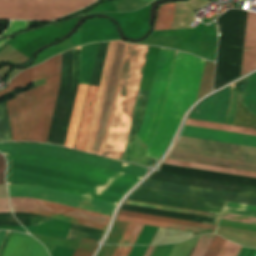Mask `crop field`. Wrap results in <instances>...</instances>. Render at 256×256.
Listing matches in <instances>:
<instances>
[{
  "label": "crop field",
  "instance_id": "22f410ed",
  "mask_svg": "<svg viewBox=\"0 0 256 256\" xmlns=\"http://www.w3.org/2000/svg\"><path fill=\"white\" fill-rule=\"evenodd\" d=\"M128 199L220 214L226 201L139 188Z\"/></svg>",
  "mask_w": 256,
  "mask_h": 256
},
{
  "label": "crop field",
  "instance_id": "d3111659",
  "mask_svg": "<svg viewBox=\"0 0 256 256\" xmlns=\"http://www.w3.org/2000/svg\"><path fill=\"white\" fill-rule=\"evenodd\" d=\"M223 212L256 217V207L230 202L226 203Z\"/></svg>",
  "mask_w": 256,
  "mask_h": 256
},
{
  "label": "crop field",
  "instance_id": "e1f06a70",
  "mask_svg": "<svg viewBox=\"0 0 256 256\" xmlns=\"http://www.w3.org/2000/svg\"><path fill=\"white\" fill-rule=\"evenodd\" d=\"M132 246H117L112 256H128Z\"/></svg>",
  "mask_w": 256,
  "mask_h": 256
},
{
  "label": "crop field",
  "instance_id": "b54c1fbb",
  "mask_svg": "<svg viewBox=\"0 0 256 256\" xmlns=\"http://www.w3.org/2000/svg\"><path fill=\"white\" fill-rule=\"evenodd\" d=\"M154 246H149L145 256H149V254L151 253L152 249H153Z\"/></svg>",
  "mask_w": 256,
  "mask_h": 256
},
{
  "label": "crop field",
  "instance_id": "f4fd0767",
  "mask_svg": "<svg viewBox=\"0 0 256 256\" xmlns=\"http://www.w3.org/2000/svg\"><path fill=\"white\" fill-rule=\"evenodd\" d=\"M127 43L110 42L84 151L102 155Z\"/></svg>",
  "mask_w": 256,
  "mask_h": 256
},
{
  "label": "crop field",
  "instance_id": "c21b1889",
  "mask_svg": "<svg viewBox=\"0 0 256 256\" xmlns=\"http://www.w3.org/2000/svg\"><path fill=\"white\" fill-rule=\"evenodd\" d=\"M8 232L9 231H0V252L2 250Z\"/></svg>",
  "mask_w": 256,
  "mask_h": 256
},
{
  "label": "crop field",
  "instance_id": "3316defc",
  "mask_svg": "<svg viewBox=\"0 0 256 256\" xmlns=\"http://www.w3.org/2000/svg\"><path fill=\"white\" fill-rule=\"evenodd\" d=\"M174 53H175V51L170 50V49L161 48V50H160V54H159L153 82H152L150 96H149V99H148V102L146 105V109H145L143 123L138 131V134H137V136L147 146H149L152 136L154 134V131L156 129V126L158 124V120H159V116H160V112H161V108H162V103H163V99H164V95H165V91H166V86H167V82H168V78H169V74H170V70H171ZM162 90H163V93H162L160 104H159V107L157 110L155 122H154L153 128L151 130V133H150L147 141L145 142V140L150 132V129H151L154 113H155V110H156V107L158 104V100H159Z\"/></svg>",
  "mask_w": 256,
  "mask_h": 256
},
{
  "label": "crop field",
  "instance_id": "eef30255",
  "mask_svg": "<svg viewBox=\"0 0 256 256\" xmlns=\"http://www.w3.org/2000/svg\"><path fill=\"white\" fill-rule=\"evenodd\" d=\"M32 74H33V67L21 72L9 83V85L6 89L0 91V96L6 94L16 88L27 86L30 83H32Z\"/></svg>",
  "mask_w": 256,
  "mask_h": 256
},
{
  "label": "crop field",
  "instance_id": "e52e79f7",
  "mask_svg": "<svg viewBox=\"0 0 256 256\" xmlns=\"http://www.w3.org/2000/svg\"><path fill=\"white\" fill-rule=\"evenodd\" d=\"M125 204L143 206V207H149V208H155V209H162V210H168V211H175V212H181V213H188V214H194V215H200V216H207V217H213V218L220 217V215H215V214H209V213H203V212H197V211H191V210H185V209H179V208H173V207H167V206H161V205H155V204H148V203H142V202H136V201H130V200H127L125 202ZM119 214L125 215V216L155 220V221H162V222H168V223H174V224H180V225H187V226L211 229V230H214L216 227L213 225H207V224H201V223H195V222H189V221H182V220H176V219H170V218H164V217H157V216H151V215H145V214H139V213H133V212H126V211H121V210H120ZM131 217H124V216L118 215L116 218V220L130 222L125 233L123 234L119 244H135L138 236L133 235L131 233L137 223L192 231V232H196V233L213 232L211 230H205V229H199V228H193V227H187V226H180V225H174V224H168V223H162V222H155V221H149V220H143V219H137V218H131ZM141 224H137L136 228L133 231L134 234H138V235L140 234V232L144 226Z\"/></svg>",
  "mask_w": 256,
  "mask_h": 256
},
{
  "label": "crop field",
  "instance_id": "8a807250",
  "mask_svg": "<svg viewBox=\"0 0 256 256\" xmlns=\"http://www.w3.org/2000/svg\"><path fill=\"white\" fill-rule=\"evenodd\" d=\"M7 184H29L61 190L113 204L139 177L46 155L4 154Z\"/></svg>",
  "mask_w": 256,
  "mask_h": 256
},
{
  "label": "crop field",
  "instance_id": "d23c7cc5",
  "mask_svg": "<svg viewBox=\"0 0 256 256\" xmlns=\"http://www.w3.org/2000/svg\"><path fill=\"white\" fill-rule=\"evenodd\" d=\"M146 1L150 2V1H152V0H146Z\"/></svg>",
  "mask_w": 256,
  "mask_h": 256
},
{
  "label": "crop field",
  "instance_id": "ae1a2a85",
  "mask_svg": "<svg viewBox=\"0 0 256 256\" xmlns=\"http://www.w3.org/2000/svg\"><path fill=\"white\" fill-rule=\"evenodd\" d=\"M213 68L214 64L206 61L197 99L203 97L210 92L212 85Z\"/></svg>",
  "mask_w": 256,
  "mask_h": 256
},
{
  "label": "crop field",
  "instance_id": "d9b57169",
  "mask_svg": "<svg viewBox=\"0 0 256 256\" xmlns=\"http://www.w3.org/2000/svg\"><path fill=\"white\" fill-rule=\"evenodd\" d=\"M181 135L256 147V136L213 130L189 125L185 126Z\"/></svg>",
  "mask_w": 256,
  "mask_h": 256
},
{
  "label": "crop field",
  "instance_id": "412701ff",
  "mask_svg": "<svg viewBox=\"0 0 256 256\" xmlns=\"http://www.w3.org/2000/svg\"><path fill=\"white\" fill-rule=\"evenodd\" d=\"M149 47L129 44L103 155L122 160Z\"/></svg>",
  "mask_w": 256,
  "mask_h": 256
},
{
  "label": "crop field",
  "instance_id": "92a150f3",
  "mask_svg": "<svg viewBox=\"0 0 256 256\" xmlns=\"http://www.w3.org/2000/svg\"><path fill=\"white\" fill-rule=\"evenodd\" d=\"M87 85H79L76 102L72 114V119L69 127V132L66 140L65 146L72 147L74 146L75 137L78 129V124L80 120V115L82 111V106L85 98Z\"/></svg>",
  "mask_w": 256,
  "mask_h": 256
},
{
  "label": "crop field",
  "instance_id": "214f88e0",
  "mask_svg": "<svg viewBox=\"0 0 256 256\" xmlns=\"http://www.w3.org/2000/svg\"><path fill=\"white\" fill-rule=\"evenodd\" d=\"M71 223L51 220L36 227H25L28 232H34L50 237L66 239Z\"/></svg>",
  "mask_w": 256,
  "mask_h": 256
},
{
  "label": "crop field",
  "instance_id": "28ad6ade",
  "mask_svg": "<svg viewBox=\"0 0 256 256\" xmlns=\"http://www.w3.org/2000/svg\"><path fill=\"white\" fill-rule=\"evenodd\" d=\"M32 199L31 198H10L11 208H12L13 212H28L34 208H38V209H42V210L46 209L48 212L34 209V210L30 211L29 213L47 216V217H51V218H57V219L69 221V222H72L75 224H79V225H83V226H87V227H91V228H95V229H99V230H103V231L105 230V228L110 220V217H108V216H104V215H100V214H96V213H92V212H88V211H84V210H79V209H75V208H71V207H67V206H63V205H59V204H55V203H50V202L34 199L38 204H40L44 208L43 209L40 205H38ZM76 212L103 218V219H105V221L103 224H100V223L76 218V217H74ZM76 216L85 218V219H89V220H93V221H97V222H101V223L103 222L102 219H98V218H94V217H90V216H86V215H82V214H78V213L76 214Z\"/></svg>",
  "mask_w": 256,
  "mask_h": 256
},
{
  "label": "crop field",
  "instance_id": "028f5c9d",
  "mask_svg": "<svg viewBox=\"0 0 256 256\" xmlns=\"http://www.w3.org/2000/svg\"><path fill=\"white\" fill-rule=\"evenodd\" d=\"M225 239L221 238L220 236L218 235H215L210 247H209V250L215 252L218 254L223 242H224ZM226 241V240H225ZM205 256H216V254L210 252L207 250Z\"/></svg>",
  "mask_w": 256,
  "mask_h": 256
},
{
  "label": "crop field",
  "instance_id": "d1516ede",
  "mask_svg": "<svg viewBox=\"0 0 256 256\" xmlns=\"http://www.w3.org/2000/svg\"><path fill=\"white\" fill-rule=\"evenodd\" d=\"M10 197H33L111 216L112 204L37 186L8 185Z\"/></svg>",
  "mask_w": 256,
  "mask_h": 256
},
{
  "label": "crop field",
  "instance_id": "a9b5d70f",
  "mask_svg": "<svg viewBox=\"0 0 256 256\" xmlns=\"http://www.w3.org/2000/svg\"><path fill=\"white\" fill-rule=\"evenodd\" d=\"M243 104L256 114V73L249 76L244 91Z\"/></svg>",
  "mask_w": 256,
  "mask_h": 256
},
{
  "label": "crop field",
  "instance_id": "5d738f31",
  "mask_svg": "<svg viewBox=\"0 0 256 256\" xmlns=\"http://www.w3.org/2000/svg\"><path fill=\"white\" fill-rule=\"evenodd\" d=\"M8 39H9V38H8ZM8 39L1 40V41H0V46H2Z\"/></svg>",
  "mask_w": 256,
  "mask_h": 256
},
{
  "label": "crop field",
  "instance_id": "03da06ac",
  "mask_svg": "<svg viewBox=\"0 0 256 256\" xmlns=\"http://www.w3.org/2000/svg\"><path fill=\"white\" fill-rule=\"evenodd\" d=\"M0 229H13V230H16V231H20V232H24V233H25V230L23 229L22 226H19V227H0Z\"/></svg>",
  "mask_w": 256,
  "mask_h": 256
},
{
  "label": "crop field",
  "instance_id": "bc2a9ffb",
  "mask_svg": "<svg viewBox=\"0 0 256 256\" xmlns=\"http://www.w3.org/2000/svg\"><path fill=\"white\" fill-rule=\"evenodd\" d=\"M97 89H98V87L90 85L87 99H86L83 117H82L80 129H79L76 146H75L76 149H79L82 151L84 149V145H85V141H86V136H87V132H88V128H89V123H90V119H91V115H92V110H93V106H94V102H95ZM91 101H92V104H91L90 112L88 113Z\"/></svg>",
  "mask_w": 256,
  "mask_h": 256
},
{
  "label": "crop field",
  "instance_id": "bd1437ed",
  "mask_svg": "<svg viewBox=\"0 0 256 256\" xmlns=\"http://www.w3.org/2000/svg\"><path fill=\"white\" fill-rule=\"evenodd\" d=\"M214 235L213 234H206L201 235L196 247L194 248L191 256H203L210 245Z\"/></svg>",
  "mask_w": 256,
  "mask_h": 256
},
{
  "label": "crop field",
  "instance_id": "c035e120",
  "mask_svg": "<svg viewBox=\"0 0 256 256\" xmlns=\"http://www.w3.org/2000/svg\"><path fill=\"white\" fill-rule=\"evenodd\" d=\"M0 212H11L8 198H0Z\"/></svg>",
  "mask_w": 256,
  "mask_h": 256
},
{
  "label": "crop field",
  "instance_id": "d32e631a",
  "mask_svg": "<svg viewBox=\"0 0 256 256\" xmlns=\"http://www.w3.org/2000/svg\"><path fill=\"white\" fill-rule=\"evenodd\" d=\"M221 219L243 222V223H249V224H256V218L239 216V215H232V214H226V213L222 214Z\"/></svg>",
  "mask_w": 256,
  "mask_h": 256
},
{
  "label": "crop field",
  "instance_id": "120bbe31",
  "mask_svg": "<svg viewBox=\"0 0 256 256\" xmlns=\"http://www.w3.org/2000/svg\"><path fill=\"white\" fill-rule=\"evenodd\" d=\"M128 223L115 221L114 228L105 244H118Z\"/></svg>",
  "mask_w": 256,
  "mask_h": 256
},
{
  "label": "crop field",
  "instance_id": "0bd39190",
  "mask_svg": "<svg viewBox=\"0 0 256 256\" xmlns=\"http://www.w3.org/2000/svg\"><path fill=\"white\" fill-rule=\"evenodd\" d=\"M6 169V161L4 157L0 154V184H5L4 174Z\"/></svg>",
  "mask_w": 256,
  "mask_h": 256
},
{
  "label": "crop field",
  "instance_id": "34b2d1b8",
  "mask_svg": "<svg viewBox=\"0 0 256 256\" xmlns=\"http://www.w3.org/2000/svg\"><path fill=\"white\" fill-rule=\"evenodd\" d=\"M205 61L177 51L160 124L147 156L159 159L185 111L196 101Z\"/></svg>",
  "mask_w": 256,
  "mask_h": 256
},
{
  "label": "crop field",
  "instance_id": "750c4746",
  "mask_svg": "<svg viewBox=\"0 0 256 256\" xmlns=\"http://www.w3.org/2000/svg\"><path fill=\"white\" fill-rule=\"evenodd\" d=\"M11 141L7 115L4 104H0V142Z\"/></svg>",
  "mask_w": 256,
  "mask_h": 256
},
{
  "label": "crop field",
  "instance_id": "4177f3b9",
  "mask_svg": "<svg viewBox=\"0 0 256 256\" xmlns=\"http://www.w3.org/2000/svg\"><path fill=\"white\" fill-rule=\"evenodd\" d=\"M186 124L207 127V128L220 129V130H226V131L239 132V133H245V134H251V135H253V133H254L253 129H247V128H241V127H235V126H229V125H223V124H217V123H211V122H205V121H199V120H193V119H188ZM254 135H256V131H255Z\"/></svg>",
  "mask_w": 256,
  "mask_h": 256
},
{
  "label": "crop field",
  "instance_id": "dd49c442",
  "mask_svg": "<svg viewBox=\"0 0 256 256\" xmlns=\"http://www.w3.org/2000/svg\"><path fill=\"white\" fill-rule=\"evenodd\" d=\"M168 157L256 171V148L180 136Z\"/></svg>",
  "mask_w": 256,
  "mask_h": 256
},
{
  "label": "crop field",
  "instance_id": "733c2abd",
  "mask_svg": "<svg viewBox=\"0 0 256 256\" xmlns=\"http://www.w3.org/2000/svg\"><path fill=\"white\" fill-rule=\"evenodd\" d=\"M2 256H49L45 248L31 236L12 232Z\"/></svg>",
  "mask_w": 256,
  "mask_h": 256
},
{
  "label": "crop field",
  "instance_id": "5a996713",
  "mask_svg": "<svg viewBox=\"0 0 256 256\" xmlns=\"http://www.w3.org/2000/svg\"><path fill=\"white\" fill-rule=\"evenodd\" d=\"M1 153L46 154L142 177L144 168L69 151L49 145L0 144ZM146 174V173H145Z\"/></svg>",
  "mask_w": 256,
  "mask_h": 256
},
{
  "label": "crop field",
  "instance_id": "ac0d7876",
  "mask_svg": "<svg viewBox=\"0 0 256 256\" xmlns=\"http://www.w3.org/2000/svg\"><path fill=\"white\" fill-rule=\"evenodd\" d=\"M61 54L34 67L33 82L46 84L7 101L13 141L46 143L59 87Z\"/></svg>",
  "mask_w": 256,
  "mask_h": 256
},
{
  "label": "crop field",
  "instance_id": "d8731c3e",
  "mask_svg": "<svg viewBox=\"0 0 256 256\" xmlns=\"http://www.w3.org/2000/svg\"><path fill=\"white\" fill-rule=\"evenodd\" d=\"M95 0H0V5L85 7ZM81 8L0 6V19L52 20Z\"/></svg>",
  "mask_w": 256,
  "mask_h": 256
},
{
  "label": "crop field",
  "instance_id": "dafd665d",
  "mask_svg": "<svg viewBox=\"0 0 256 256\" xmlns=\"http://www.w3.org/2000/svg\"><path fill=\"white\" fill-rule=\"evenodd\" d=\"M164 163L172 164V165L185 166V167H191V168L204 169V170L217 171V172H223V173H230V174H236V175H243V176H249V177H256V173H254V172H247V171H241V170L221 168V167L202 165V164H196V163H189V162H183V161H176V160H170V159H166L164 161Z\"/></svg>",
  "mask_w": 256,
  "mask_h": 256
},
{
  "label": "crop field",
  "instance_id": "cbeb9de0",
  "mask_svg": "<svg viewBox=\"0 0 256 256\" xmlns=\"http://www.w3.org/2000/svg\"><path fill=\"white\" fill-rule=\"evenodd\" d=\"M141 187L176 192V193L190 194V195H196V196L210 197V198H216V199H223L230 202L256 206V197L242 195V194H235V193L197 188V187H191V186H184V185H177V184H171V183H164V182H157V181H151V180H147Z\"/></svg>",
  "mask_w": 256,
  "mask_h": 256
},
{
  "label": "crop field",
  "instance_id": "5866460e",
  "mask_svg": "<svg viewBox=\"0 0 256 256\" xmlns=\"http://www.w3.org/2000/svg\"><path fill=\"white\" fill-rule=\"evenodd\" d=\"M27 28H28L27 22L12 21L11 26L0 37L11 35L17 31L24 30Z\"/></svg>",
  "mask_w": 256,
  "mask_h": 256
},
{
  "label": "crop field",
  "instance_id": "1d83c4d3",
  "mask_svg": "<svg viewBox=\"0 0 256 256\" xmlns=\"http://www.w3.org/2000/svg\"><path fill=\"white\" fill-rule=\"evenodd\" d=\"M96 246L95 241L82 239L73 256H92Z\"/></svg>",
  "mask_w": 256,
  "mask_h": 256
},
{
  "label": "crop field",
  "instance_id": "00972430",
  "mask_svg": "<svg viewBox=\"0 0 256 256\" xmlns=\"http://www.w3.org/2000/svg\"><path fill=\"white\" fill-rule=\"evenodd\" d=\"M175 2L159 6L154 30L171 29Z\"/></svg>",
  "mask_w": 256,
  "mask_h": 256
},
{
  "label": "crop field",
  "instance_id": "730fd06b",
  "mask_svg": "<svg viewBox=\"0 0 256 256\" xmlns=\"http://www.w3.org/2000/svg\"><path fill=\"white\" fill-rule=\"evenodd\" d=\"M241 247L225 241L217 256H237ZM238 256H256V249L242 247Z\"/></svg>",
  "mask_w": 256,
  "mask_h": 256
},
{
  "label": "crop field",
  "instance_id": "5142ce71",
  "mask_svg": "<svg viewBox=\"0 0 256 256\" xmlns=\"http://www.w3.org/2000/svg\"><path fill=\"white\" fill-rule=\"evenodd\" d=\"M230 87L206 98L191 112L189 118L224 123L230 100Z\"/></svg>",
  "mask_w": 256,
  "mask_h": 256
},
{
  "label": "crop field",
  "instance_id": "b80d0937",
  "mask_svg": "<svg viewBox=\"0 0 256 256\" xmlns=\"http://www.w3.org/2000/svg\"><path fill=\"white\" fill-rule=\"evenodd\" d=\"M116 246L105 245L98 256H111Z\"/></svg>",
  "mask_w": 256,
  "mask_h": 256
},
{
  "label": "crop field",
  "instance_id": "4a817a6b",
  "mask_svg": "<svg viewBox=\"0 0 256 256\" xmlns=\"http://www.w3.org/2000/svg\"><path fill=\"white\" fill-rule=\"evenodd\" d=\"M255 68H256V14L248 12L241 75Z\"/></svg>",
  "mask_w": 256,
  "mask_h": 256
}]
</instances>
